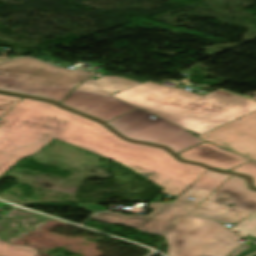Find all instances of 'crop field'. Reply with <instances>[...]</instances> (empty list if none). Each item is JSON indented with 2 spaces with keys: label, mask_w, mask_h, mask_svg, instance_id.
<instances>
[{
  "label": "crop field",
  "mask_w": 256,
  "mask_h": 256,
  "mask_svg": "<svg viewBox=\"0 0 256 256\" xmlns=\"http://www.w3.org/2000/svg\"><path fill=\"white\" fill-rule=\"evenodd\" d=\"M0 120V176L54 138L112 159L178 196L207 169L179 163L167 151L114 136L101 123L48 102L23 98Z\"/></svg>",
  "instance_id": "obj_1"
},
{
  "label": "crop field",
  "mask_w": 256,
  "mask_h": 256,
  "mask_svg": "<svg viewBox=\"0 0 256 256\" xmlns=\"http://www.w3.org/2000/svg\"><path fill=\"white\" fill-rule=\"evenodd\" d=\"M112 96L161 116L197 135L256 111L255 101L228 92L217 90L201 97L185 89L160 86L152 82Z\"/></svg>",
  "instance_id": "obj_2"
},
{
  "label": "crop field",
  "mask_w": 256,
  "mask_h": 256,
  "mask_svg": "<svg viewBox=\"0 0 256 256\" xmlns=\"http://www.w3.org/2000/svg\"><path fill=\"white\" fill-rule=\"evenodd\" d=\"M81 70L71 71L35 59L20 58L0 64V90L59 103L92 75Z\"/></svg>",
  "instance_id": "obj_3"
},
{
  "label": "crop field",
  "mask_w": 256,
  "mask_h": 256,
  "mask_svg": "<svg viewBox=\"0 0 256 256\" xmlns=\"http://www.w3.org/2000/svg\"><path fill=\"white\" fill-rule=\"evenodd\" d=\"M230 176V174L207 170L173 202L149 203V207L154 210L147 216H124L112 212H102L96 214L92 219L111 224L119 223L142 232L164 237ZM187 197L195 199L187 201L185 200Z\"/></svg>",
  "instance_id": "obj_4"
},
{
  "label": "crop field",
  "mask_w": 256,
  "mask_h": 256,
  "mask_svg": "<svg viewBox=\"0 0 256 256\" xmlns=\"http://www.w3.org/2000/svg\"><path fill=\"white\" fill-rule=\"evenodd\" d=\"M164 238L167 256H228L241 245L236 242L241 237L220 223L190 215Z\"/></svg>",
  "instance_id": "obj_5"
},
{
  "label": "crop field",
  "mask_w": 256,
  "mask_h": 256,
  "mask_svg": "<svg viewBox=\"0 0 256 256\" xmlns=\"http://www.w3.org/2000/svg\"><path fill=\"white\" fill-rule=\"evenodd\" d=\"M139 84L141 83L122 77L88 79L59 104L106 122L137 108L110 95Z\"/></svg>",
  "instance_id": "obj_6"
},
{
  "label": "crop field",
  "mask_w": 256,
  "mask_h": 256,
  "mask_svg": "<svg viewBox=\"0 0 256 256\" xmlns=\"http://www.w3.org/2000/svg\"><path fill=\"white\" fill-rule=\"evenodd\" d=\"M152 114L137 108L107 124L117 133L129 139L166 146L176 154L186 148L203 142L184 128L163 118L151 119Z\"/></svg>",
  "instance_id": "obj_7"
},
{
  "label": "crop field",
  "mask_w": 256,
  "mask_h": 256,
  "mask_svg": "<svg viewBox=\"0 0 256 256\" xmlns=\"http://www.w3.org/2000/svg\"><path fill=\"white\" fill-rule=\"evenodd\" d=\"M255 211L256 191L248 189L243 177L232 175L190 215L237 224Z\"/></svg>",
  "instance_id": "obj_8"
},
{
  "label": "crop field",
  "mask_w": 256,
  "mask_h": 256,
  "mask_svg": "<svg viewBox=\"0 0 256 256\" xmlns=\"http://www.w3.org/2000/svg\"><path fill=\"white\" fill-rule=\"evenodd\" d=\"M199 138L256 161V112Z\"/></svg>",
  "instance_id": "obj_9"
},
{
  "label": "crop field",
  "mask_w": 256,
  "mask_h": 256,
  "mask_svg": "<svg viewBox=\"0 0 256 256\" xmlns=\"http://www.w3.org/2000/svg\"><path fill=\"white\" fill-rule=\"evenodd\" d=\"M179 156L183 160L203 163L224 171L251 161L231 151L222 150L208 143L191 148L179 154Z\"/></svg>",
  "instance_id": "obj_10"
},
{
  "label": "crop field",
  "mask_w": 256,
  "mask_h": 256,
  "mask_svg": "<svg viewBox=\"0 0 256 256\" xmlns=\"http://www.w3.org/2000/svg\"><path fill=\"white\" fill-rule=\"evenodd\" d=\"M37 251L30 247L0 242V256H35Z\"/></svg>",
  "instance_id": "obj_11"
},
{
  "label": "crop field",
  "mask_w": 256,
  "mask_h": 256,
  "mask_svg": "<svg viewBox=\"0 0 256 256\" xmlns=\"http://www.w3.org/2000/svg\"><path fill=\"white\" fill-rule=\"evenodd\" d=\"M231 229L238 230L243 237L246 235L256 237V212Z\"/></svg>",
  "instance_id": "obj_12"
},
{
  "label": "crop field",
  "mask_w": 256,
  "mask_h": 256,
  "mask_svg": "<svg viewBox=\"0 0 256 256\" xmlns=\"http://www.w3.org/2000/svg\"><path fill=\"white\" fill-rule=\"evenodd\" d=\"M230 172L245 174L252 177L253 185L256 187V162L251 161L249 163L243 164Z\"/></svg>",
  "instance_id": "obj_13"
},
{
  "label": "crop field",
  "mask_w": 256,
  "mask_h": 256,
  "mask_svg": "<svg viewBox=\"0 0 256 256\" xmlns=\"http://www.w3.org/2000/svg\"><path fill=\"white\" fill-rule=\"evenodd\" d=\"M22 98L0 94V117L9 111Z\"/></svg>",
  "instance_id": "obj_14"
},
{
  "label": "crop field",
  "mask_w": 256,
  "mask_h": 256,
  "mask_svg": "<svg viewBox=\"0 0 256 256\" xmlns=\"http://www.w3.org/2000/svg\"><path fill=\"white\" fill-rule=\"evenodd\" d=\"M80 208H84L90 212H98L104 209V207L96 206V205H78Z\"/></svg>",
  "instance_id": "obj_15"
},
{
  "label": "crop field",
  "mask_w": 256,
  "mask_h": 256,
  "mask_svg": "<svg viewBox=\"0 0 256 256\" xmlns=\"http://www.w3.org/2000/svg\"><path fill=\"white\" fill-rule=\"evenodd\" d=\"M255 251H256V245H253L252 247H250L249 249L245 250L244 252H242L241 254H239L237 256H245V255H248Z\"/></svg>",
  "instance_id": "obj_16"
},
{
  "label": "crop field",
  "mask_w": 256,
  "mask_h": 256,
  "mask_svg": "<svg viewBox=\"0 0 256 256\" xmlns=\"http://www.w3.org/2000/svg\"><path fill=\"white\" fill-rule=\"evenodd\" d=\"M6 60H9V59H6V58H3V57H0V62H2V61H6Z\"/></svg>",
  "instance_id": "obj_17"
},
{
  "label": "crop field",
  "mask_w": 256,
  "mask_h": 256,
  "mask_svg": "<svg viewBox=\"0 0 256 256\" xmlns=\"http://www.w3.org/2000/svg\"><path fill=\"white\" fill-rule=\"evenodd\" d=\"M252 99H255V100H256V96H255V97H253Z\"/></svg>",
  "instance_id": "obj_18"
},
{
  "label": "crop field",
  "mask_w": 256,
  "mask_h": 256,
  "mask_svg": "<svg viewBox=\"0 0 256 256\" xmlns=\"http://www.w3.org/2000/svg\"><path fill=\"white\" fill-rule=\"evenodd\" d=\"M3 123V121H0V125Z\"/></svg>",
  "instance_id": "obj_19"
},
{
  "label": "crop field",
  "mask_w": 256,
  "mask_h": 256,
  "mask_svg": "<svg viewBox=\"0 0 256 256\" xmlns=\"http://www.w3.org/2000/svg\"><path fill=\"white\" fill-rule=\"evenodd\" d=\"M254 256H256V255H254Z\"/></svg>",
  "instance_id": "obj_20"
}]
</instances>
